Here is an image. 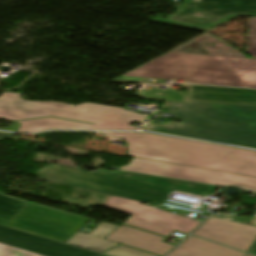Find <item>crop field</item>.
I'll return each instance as SVG.
<instances>
[{"mask_svg":"<svg viewBox=\"0 0 256 256\" xmlns=\"http://www.w3.org/2000/svg\"><path fill=\"white\" fill-rule=\"evenodd\" d=\"M166 79L256 88V59L168 52L111 82L162 85Z\"/></svg>","mask_w":256,"mask_h":256,"instance_id":"obj_1","label":"crop field"},{"mask_svg":"<svg viewBox=\"0 0 256 256\" xmlns=\"http://www.w3.org/2000/svg\"><path fill=\"white\" fill-rule=\"evenodd\" d=\"M103 254L111 256H157L151 253L133 249L127 246L120 245L112 250H109Z\"/></svg>","mask_w":256,"mask_h":256,"instance_id":"obj_17","label":"crop field"},{"mask_svg":"<svg viewBox=\"0 0 256 256\" xmlns=\"http://www.w3.org/2000/svg\"><path fill=\"white\" fill-rule=\"evenodd\" d=\"M192 234L247 252L256 240V226L211 217Z\"/></svg>","mask_w":256,"mask_h":256,"instance_id":"obj_12","label":"crop field"},{"mask_svg":"<svg viewBox=\"0 0 256 256\" xmlns=\"http://www.w3.org/2000/svg\"><path fill=\"white\" fill-rule=\"evenodd\" d=\"M89 219L30 202L7 225L66 242Z\"/></svg>","mask_w":256,"mask_h":256,"instance_id":"obj_7","label":"crop field"},{"mask_svg":"<svg viewBox=\"0 0 256 256\" xmlns=\"http://www.w3.org/2000/svg\"><path fill=\"white\" fill-rule=\"evenodd\" d=\"M103 206L133 215L124 224L169 237L176 230L188 234L200 222L152 208L136 200L112 196Z\"/></svg>","mask_w":256,"mask_h":256,"instance_id":"obj_8","label":"crop field"},{"mask_svg":"<svg viewBox=\"0 0 256 256\" xmlns=\"http://www.w3.org/2000/svg\"><path fill=\"white\" fill-rule=\"evenodd\" d=\"M33 103L42 104V105H47V106H52V107H56V106H58V105L63 104V103H42V102H33Z\"/></svg>","mask_w":256,"mask_h":256,"instance_id":"obj_22","label":"crop field"},{"mask_svg":"<svg viewBox=\"0 0 256 256\" xmlns=\"http://www.w3.org/2000/svg\"><path fill=\"white\" fill-rule=\"evenodd\" d=\"M107 239L157 255L167 254L174 245L164 243L166 239L154 234L121 225Z\"/></svg>","mask_w":256,"mask_h":256,"instance_id":"obj_13","label":"crop field"},{"mask_svg":"<svg viewBox=\"0 0 256 256\" xmlns=\"http://www.w3.org/2000/svg\"><path fill=\"white\" fill-rule=\"evenodd\" d=\"M183 87L189 89V92L168 91L154 86H146L138 91L136 96L160 101L256 105V89L190 84H184Z\"/></svg>","mask_w":256,"mask_h":256,"instance_id":"obj_10","label":"crop field"},{"mask_svg":"<svg viewBox=\"0 0 256 256\" xmlns=\"http://www.w3.org/2000/svg\"><path fill=\"white\" fill-rule=\"evenodd\" d=\"M0 242L45 256H104L0 225Z\"/></svg>","mask_w":256,"mask_h":256,"instance_id":"obj_11","label":"crop field"},{"mask_svg":"<svg viewBox=\"0 0 256 256\" xmlns=\"http://www.w3.org/2000/svg\"><path fill=\"white\" fill-rule=\"evenodd\" d=\"M245 256H253V255L245 254Z\"/></svg>","mask_w":256,"mask_h":256,"instance_id":"obj_25","label":"crop field"},{"mask_svg":"<svg viewBox=\"0 0 256 256\" xmlns=\"http://www.w3.org/2000/svg\"><path fill=\"white\" fill-rule=\"evenodd\" d=\"M246 53L256 57V17H251Z\"/></svg>","mask_w":256,"mask_h":256,"instance_id":"obj_18","label":"crop field"},{"mask_svg":"<svg viewBox=\"0 0 256 256\" xmlns=\"http://www.w3.org/2000/svg\"><path fill=\"white\" fill-rule=\"evenodd\" d=\"M0 256H42L16 247L0 243Z\"/></svg>","mask_w":256,"mask_h":256,"instance_id":"obj_19","label":"crop field"},{"mask_svg":"<svg viewBox=\"0 0 256 256\" xmlns=\"http://www.w3.org/2000/svg\"><path fill=\"white\" fill-rule=\"evenodd\" d=\"M20 124L13 123L10 127L0 129V130H7V131H13L16 132Z\"/></svg>","mask_w":256,"mask_h":256,"instance_id":"obj_20","label":"crop field"},{"mask_svg":"<svg viewBox=\"0 0 256 256\" xmlns=\"http://www.w3.org/2000/svg\"><path fill=\"white\" fill-rule=\"evenodd\" d=\"M117 227L118 226L102 222L89 235L79 232L69 240L68 243L102 252L117 245V243L104 239Z\"/></svg>","mask_w":256,"mask_h":256,"instance_id":"obj_15","label":"crop field"},{"mask_svg":"<svg viewBox=\"0 0 256 256\" xmlns=\"http://www.w3.org/2000/svg\"><path fill=\"white\" fill-rule=\"evenodd\" d=\"M168 256H244V253L191 236Z\"/></svg>","mask_w":256,"mask_h":256,"instance_id":"obj_14","label":"crop field"},{"mask_svg":"<svg viewBox=\"0 0 256 256\" xmlns=\"http://www.w3.org/2000/svg\"><path fill=\"white\" fill-rule=\"evenodd\" d=\"M100 133L122 137L131 157L256 176L255 151L151 133Z\"/></svg>","mask_w":256,"mask_h":256,"instance_id":"obj_4","label":"crop field"},{"mask_svg":"<svg viewBox=\"0 0 256 256\" xmlns=\"http://www.w3.org/2000/svg\"><path fill=\"white\" fill-rule=\"evenodd\" d=\"M123 170L198 181L216 185H233L256 191V177L199 169L139 158H133Z\"/></svg>","mask_w":256,"mask_h":256,"instance_id":"obj_9","label":"crop field"},{"mask_svg":"<svg viewBox=\"0 0 256 256\" xmlns=\"http://www.w3.org/2000/svg\"><path fill=\"white\" fill-rule=\"evenodd\" d=\"M15 134H10V133H0V141L5 139V138H10L13 139Z\"/></svg>","mask_w":256,"mask_h":256,"instance_id":"obj_21","label":"crop field"},{"mask_svg":"<svg viewBox=\"0 0 256 256\" xmlns=\"http://www.w3.org/2000/svg\"><path fill=\"white\" fill-rule=\"evenodd\" d=\"M164 107L182 122L149 123L142 130L256 149V106L165 102Z\"/></svg>","mask_w":256,"mask_h":256,"instance_id":"obj_3","label":"crop field"},{"mask_svg":"<svg viewBox=\"0 0 256 256\" xmlns=\"http://www.w3.org/2000/svg\"><path fill=\"white\" fill-rule=\"evenodd\" d=\"M237 16H256V0H191L185 10L150 22L208 31Z\"/></svg>","mask_w":256,"mask_h":256,"instance_id":"obj_6","label":"crop field"},{"mask_svg":"<svg viewBox=\"0 0 256 256\" xmlns=\"http://www.w3.org/2000/svg\"><path fill=\"white\" fill-rule=\"evenodd\" d=\"M248 253L256 254V242L253 244V246L249 249Z\"/></svg>","mask_w":256,"mask_h":256,"instance_id":"obj_23","label":"crop field"},{"mask_svg":"<svg viewBox=\"0 0 256 256\" xmlns=\"http://www.w3.org/2000/svg\"><path fill=\"white\" fill-rule=\"evenodd\" d=\"M18 93H2L0 118L20 123L18 132H37L48 129H114L137 130L130 126L143 115L119 107L84 103L63 104L56 108L26 102Z\"/></svg>","mask_w":256,"mask_h":256,"instance_id":"obj_2","label":"crop field"},{"mask_svg":"<svg viewBox=\"0 0 256 256\" xmlns=\"http://www.w3.org/2000/svg\"><path fill=\"white\" fill-rule=\"evenodd\" d=\"M250 224L251 225H256V216L252 218Z\"/></svg>","mask_w":256,"mask_h":256,"instance_id":"obj_24","label":"crop field"},{"mask_svg":"<svg viewBox=\"0 0 256 256\" xmlns=\"http://www.w3.org/2000/svg\"><path fill=\"white\" fill-rule=\"evenodd\" d=\"M28 203L0 194V224H6Z\"/></svg>","mask_w":256,"mask_h":256,"instance_id":"obj_16","label":"crop field"},{"mask_svg":"<svg viewBox=\"0 0 256 256\" xmlns=\"http://www.w3.org/2000/svg\"><path fill=\"white\" fill-rule=\"evenodd\" d=\"M39 179L160 205L174 191L207 196L217 187L101 169L90 172L51 163L36 172Z\"/></svg>","mask_w":256,"mask_h":256,"instance_id":"obj_5","label":"crop field"}]
</instances>
